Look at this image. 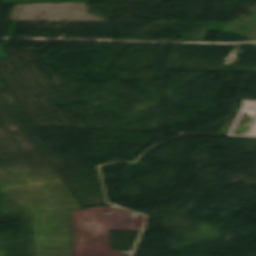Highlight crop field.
<instances>
[{
  "mask_svg": "<svg viewBox=\"0 0 256 256\" xmlns=\"http://www.w3.org/2000/svg\"><path fill=\"white\" fill-rule=\"evenodd\" d=\"M8 58L7 55L4 53V51L0 47V59H6Z\"/></svg>",
  "mask_w": 256,
  "mask_h": 256,
  "instance_id": "crop-field-1",
  "label": "crop field"
}]
</instances>
